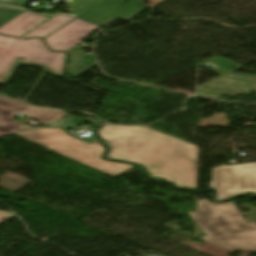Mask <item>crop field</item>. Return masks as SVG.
Returning <instances> with one entry per match:
<instances>
[{
	"label": "crop field",
	"mask_w": 256,
	"mask_h": 256,
	"mask_svg": "<svg viewBox=\"0 0 256 256\" xmlns=\"http://www.w3.org/2000/svg\"><path fill=\"white\" fill-rule=\"evenodd\" d=\"M105 158L141 164L157 177L182 188H197V147L146 127L103 126Z\"/></svg>",
	"instance_id": "1"
},
{
	"label": "crop field",
	"mask_w": 256,
	"mask_h": 256,
	"mask_svg": "<svg viewBox=\"0 0 256 256\" xmlns=\"http://www.w3.org/2000/svg\"><path fill=\"white\" fill-rule=\"evenodd\" d=\"M189 215L207 235L200 239L224 249L256 250V224H246L233 203L198 200V211Z\"/></svg>",
	"instance_id": "2"
},
{
	"label": "crop field",
	"mask_w": 256,
	"mask_h": 256,
	"mask_svg": "<svg viewBox=\"0 0 256 256\" xmlns=\"http://www.w3.org/2000/svg\"><path fill=\"white\" fill-rule=\"evenodd\" d=\"M16 135L50 148L113 177H119L133 167L101 159L104 150L99 141L88 145L60 129H29Z\"/></svg>",
	"instance_id": "3"
},
{
	"label": "crop field",
	"mask_w": 256,
	"mask_h": 256,
	"mask_svg": "<svg viewBox=\"0 0 256 256\" xmlns=\"http://www.w3.org/2000/svg\"><path fill=\"white\" fill-rule=\"evenodd\" d=\"M18 56L25 61H16ZM64 60V53L48 51L40 39L22 40L0 35V84H5L18 65H38L60 77Z\"/></svg>",
	"instance_id": "4"
},
{
	"label": "crop field",
	"mask_w": 256,
	"mask_h": 256,
	"mask_svg": "<svg viewBox=\"0 0 256 256\" xmlns=\"http://www.w3.org/2000/svg\"><path fill=\"white\" fill-rule=\"evenodd\" d=\"M95 29H97L95 26L75 19L44 39L50 49L64 50L69 53L66 70L74 77L97 65L92 53L89 55L84 53L82 46L76 49L72 48Z\"/></svg>",
	"instance_id": "5"
},
{
	"label": "crop field",
	"mask_w": 256,
	"mask_h": 256,
	"mask_svg": "<svg viewBox=\"0 0 256 256\" xmlns=\"http://www.w3.org/2000/svg\"><path fill=\"white\" fill-rule=\"evenodd\" d=\"M209 188L216 189L217 200L244 193L256 194V162L213 168Z\"/></svg>",
	"instance_id": "6"
},
{
	"label": "crop field",
	"mask_w": 256,
	"mask_h": 256,
	"mask_svg": "<svg viewBox=\"0 0 256 256\" xmlns=\"http://www.w3.org/2000/svg\"><path fill=\"white\" fill-rule=\"evenodd\" d=\"M17 112L30 116L42 123H48L65 117L64 113L59 110L30 106L0 97V136L28 127L13 121Z\"/></svg>",
	"instance_id": "7"
},
{
	"label": "crop field",
	"mask_w": 256,
	"mask_h": 256,
	"mask_svg": "<svg viewBox=\"0 0 256 256\" xmlns=\"http://www.w3.org/2000/svg\"><path fill=\"white\" fill-rule=\"evenodd\" d=\"M123 1L129 2L130 6H121L120 3ZM145 8L147 6L137 0H106L79 18L106 26L115 19L129 20Z\"/></svg>",
	"instance_id": "8"
},
{
	"label": "crop field",
	"mask_w": 256,
	"mask_h": 256,
	"mask_svg": "<svg viewBox=\"0 0 256 256\" xmlns=\"http://www.w3.org/2000/svg\"><path fill=\"white\" fill-rule=\"evenodd\" d=\"M45 19L46 17L23 12L0 27V33L19 37Z\"/></svg>",
	"instance_id": "9"
},
{
	"label": "crop field",
	"mask_w": 256,
	"mask_h": 256,
	"mask_svg": "<svg viewBox=\"0 0 256 256\" xmlns=\"http://www.w3.org/2000/svg\"><path fill=\"white\" fill-rule=\"evenodd\" d=\"M28 1L29 0H0V4L24 7ZM101 1L103 0H72L68 4L74 11L75 15L79 16Z\"/></svg>",
	"instance_id": "10"
},
{
	"label": "crop field",
	"mask_w": 256,
	"mask_h": 256,
	"mask_svg": "<svg viewBox=\"0 0 256 256\" xmlns=\"http://www.w3.org/2000/svg\"><path fill=\"white\" fill-rule=\"evenodd\" d=\"M72 19L73 18H70L68 16H55L52 19H50L48 22H46L40 27L38 26L39 28L35 29L34 31H32L31 33L27 34L22 38H27L30 36H39L44 38Z\"/></svg>",
	"instance_id": "11"
},
{
	"label": "crop field",
	"mask_w": 256,
	"mask_h": 256,
	"mask_svg": "<svg viewBox=\"0 0 256 256\" xmlns=\"http://www.w3.org/2000/svg\"><path fill=\"white\" fill-rule=\"evenodd\" d=\"M21 10L0 6V26L20 14Z\"/></svg>",
	"instance_id": "12"
},
{
	"label": "crop field",
	"mask_w": 256,
	"mask_h": 256,
	"mask_svg": "<svg viewBox=\"0 0 256 256\" xmlns=\"http://www.w3.org/2000/svg\"><path fill=\"white\" fill-rule=\"evenodd\" d=\"M15 217L12 213H6L0 211V224Z\"/></svg>",
	"instance_id": "13"
},
{
	"label": "crop field",
	"mask_w": 256,
	"mask_h": 256,
	"mask_svg": "<svg viewBox=\"0 0 256 256\" xmlns=\"http://www.w3.org/2000/svg\"><path fill=\"white\" fill-rule=\"evenodd\" d=\"M144 3H146L148 6L153 7L156 4H158L159 2L163 1V0H141Z\"/></svg>",
	"instance_id": "14"
}]
</instances>
